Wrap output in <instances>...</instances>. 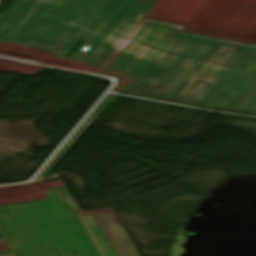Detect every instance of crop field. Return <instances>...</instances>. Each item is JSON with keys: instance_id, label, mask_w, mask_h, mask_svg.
Masks as SVG:
<instances>
[{"instance_id": "ac0d7876", "label": "crop field", "mask_w": 256, "mask_h": 256, "mask_svg": "<svg viewBox=\"0 0 256 256\" xmlns=\"http://www.w3.org/2000/svg\"><path fill=\"white\" fill-rule=\"evenodd\" d=\"M154 2L14 0L0 15V42L35 47L64 58L82 39H88L89 48L76 61L100 67ZM67 47L72 49L64 53Z\"/></svg>"}, {"instance_id": "34b2d1b8", "label": "crop field", "mask_w": 256, "mask_h": 256, "mask_svg": "<svg viewBox=\"0 0 256 256\" xmlns=\"http://www.w3.org/2000/svg\"><path fill=\"white\" fill-rule=\"evenodd\" d=\"M66 185L43 195L0 201V205L50 201L0 208V235L13 256H115L89 211L81 212Z\"/></svg>"}, {"instance_id": "412701ff", "label": "crop field", "mask_w": 256, "mask_h": 256, "mask_svg": "<svg viewBox=\"0 0 256 256\" xmlns=\"http://www.w3.org/2000/svg\"><path fill=\"white\" fill-rule=\"evenodd\" d=\"M198 106L256 115V46L246 47Z\"/></svg>"}, {"instance_id": "8a807250", "label": "crop field", "mask_w": 256, "mask_h": 256, "mask_svg": "<svg viewBox=\"0 0 256 256\" xmlns=\"http://www.w3.org/2000/svg\"><path fill=\"white\" fill-rule=\"evenodd\" d=\"M143 19L99 74L122 78L114 92L194 105L247 46Z\"/></svg>"}]
</instances>
